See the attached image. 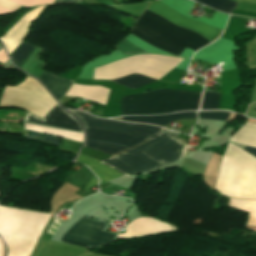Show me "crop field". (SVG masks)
<instances>
[{
    "label": "crop field",
    "mask_w": 256,
    "mask_h": 256,
    "mask_svg": "<svg viewBox=\"0 0 256 256\" xmlns=\"http://www.w3.org/2000/svg\"><path fill=\"white\" fill-rule=\"evenodd\" d=\"M152 81H155V80L144 77V76H141L139 74H133V75H130V76H127L125 78L118 79V80H115V81H112V82L121 84L123 86L129 87V88H132V89H135L137 87H140V86L145 85L147 83H150Z\"/></svg>",
    "instance_id": "4a817a6b"
},
{
    "label": "crop field",
    "mask_w": 256,
    "mask_h": 256,
    "mask_svg": "<svg viewBox=\"0 0 256 256\" xmlns=\"http://www.w3.org/2000/svg\"><path fill=\"white\" fill-rule=\"evenodd\" d=\"M79 0H54L52 4L54 3H78Z\"/></svg>",
    "instance_id": "4177f3b9"
},
{
    "label": "crop field",
    "mask_w": 256,
    "mask_h": 256,
    "mask_svg": "<svg viewBox=\"0 0 256 256\" xmlns=\"http://www.w3.org/2000/svg\"><path fill=\"white\" fill-rule=\"evenodd\" d=\"M185 148L184 140L166 131L130 151L100 162L130 176L181 158Z\"/></svg>",
    "instance_id": "ac0d7876"
},
{
    "label": "crop field",
    "mask_w": 256,
    "mask_h": 256,
    "mask_svg": "<svg viewBox=\"0 0 256 256\" xmlns=\"http://www.w3.org/2000/svg\"><path fill=\"white\" fill-rule=\"evenodd\" d=\"M76 162L85 164L87 167L94 172V174L100 179V184L117 178L123 174L97 162V160L92 159L90 157L79 154Z\"/></svg>",
    "instance_id": "5142ce71"
},
{
    "label": "crop field",
    "mask_w": 256,
    "mask_h": 256,
    "mask_svg": "<svg viewBox=\"0 0 256 256\" xmlns=\"http://www.w3.org/2000/svg\"><path fill=\"white\" fill-rule=\"evenodd\" d=\"M75 116H77L84 127H100L106 129H113L128 132L131 134L152 138L158 135L163 128L145 125V124H129V123H122L113 120H104V119H97L92 117L88 114L79 112V111H70Z\"/></svg>",
    "instance_id": "5a996713"
},
{
    "label": "crop field",
    "mask_w": 256,
    "mask_h": 256,
    "mask_svg": "<svg viewBox=\"0 0 256 256\" xmlns=\"http://www.w3.org/2000/svg\"><path fill=\"white\" fill-rule=\"evenodd\" d=\"M56 104L43 86L28 75L21 84L6 86L0 98V107H19L41 119Z\"/></svg>",
    "instance_id": "f4fd0767"
},
{
    "label": "crop field",
    "mask_w": 256,
    "mask_h": 256,
    "mask_svg": "<svg viewBox=\"0 0 256 256\" xmlns=\"http://www.w3.org/2000/svg\"><path fill=\"white\" fill-rule=\"evenodd\" d=\"M220 95L217 93L204 92L202 110L217 109Z\"/></svg>",
    "instance_id": "214f88e0"
},
{
    "label": "crop field",
    "mask_w": 256,
    "mask_h": 256,
    "mask_svg": "<svg viewBox=\"0 0 256 256\" xmlns=\"http://www.w3.org/2000/svg\"><path fill=\"white\" fill-rule=\"evenodd\" d=\"M198 98L196 92L169 89L121 97V115L196 110Z\"/></svg>",
    "instance_id": "412701ff"
},
{
    "label": "crop field",
    "mask_w": 256,
    "mask_h": 256,
    "mask_svg": "<svg viewBox=\"0 0 256 256\" xmlns=\"http://www.w3.org/2000/svg\"><path fill=\"white\" fill-rule=\"evenodd\" d=\"M243 150L253 154L254 156H256V148H251V147H247V146H244Z\"/></svg>",
    "instance_id": "730fd06b"
},
{
    "label": "crop field",
    "mask_w": 256,
    "mask_h": 256,
    "mask_svg": "<svg viewBox=\"0 0 256 256\" xmlns=\"http://www.w3.org/2000/svg\"><path fill=\"white\" fill-rule=\"evenodd\" d=\"M24 121L83 132L80 124L58 104L42 120L30 113H27Z\"/></svg>",
    "instance_id": "d1516ede"
},
{
    "label": "crop field",
    "mask_w": 256,
    "mask_h": 256,
    "mask_svg": "<svg viewBox=\"0 0 256 256\" xmlns=\"http://www.w3.org/2000/svg\"><path fill=\"white\" fill-rule=\"evenodd\" d=\"M228 112H198V119L228 120Z\"/></svg>",
    "instance_id": "92a150f3"
},
{
    "label": "crop field",
    "mask_w": 256,
    "mask_h": 256,
    "mask_svg": "<svg viewBox=\"0 0 256 256\" xmlns=\"http://www.w3.org/2000/svg\"><path fill=\"white\" fill-rule=\"evenodd\" d=\"M191 118H196V113L186 112V113L170 114V115H162V116H130V117H122V120L129 121V122L152 123V124L165 127L171 121L191 119Z\"/></svg>",
    "instance_id": "cbeb9de0"
},
{
    "label": "crop field",
    "mask_w": 256,
    "mask_h": 256,
    "mask_svg": "<svg viewBox=\"0 0 256 256\" xmlns=\"http://www.w3.org/2000/svg\"><path fill=\"white\" fill-rule=\"evenodd\" d=\"M45 6H38L27 12L0 40L4 43L9 55L22 42L26 35L29 23L40 13Z\"/></svg>",
    "instance_id": "28ad6ade"
},
{
    "label": "crop field",
    "mask_w": 256,
    "mask_h": 256,
    "mask_svg": "<svg viewBox=\"0 0 256 256\" xmlns=\"http://www.w3.org/2000/svg\"><path fill=\"white\" fill-rule=\"evenodd\" d=\"M25 128L40 131V132H45V133H49V134L61 136L64 138L77 140V141H82L83 139L82 133L68 132V131L48 128V127H43V126H38L33 124H27V123H25Z\"/></svg>",
    "instance_id": "733c2abd"
},
{
    "label": "crop field",
    "mask_w": 256,
    "mask_h": 256,
    "mask_svg": "<svg viewBox=\"0 0 256 256\" xmlns=\"http://www.w3.org/2000/svg\"><path fill=\"white\" fill-rule=\"evenodd\" d=\"M35 49V46L23 41L17 49L10 55L13 63L21 69L30 54Z\"/></svg>",
    "instance_id": "d9b57169"
},
{
    "label": "crop field",
    "mask_w": 256,
    "mask_h": 256,
    "mask_svg": "<svg viewBox=\"0 0 256 256\" xmlns=\"http://www.w3.org/2000/svg\"><path fill=\"white\" fill-rule=\"evenodd\" d=\"M104 223L80 218L62 237L61 243L83 248L104 245L113 240V234L101 232Z\"/></svg>",
    "instance_id": "e52e79f7"
},
{
    "label": "crop field",
    "mask_w": 256,
    "mask_h": 256,
    "mask_svg": "<svg viewBox=\"0 0 256 256\" xmlns=\"http://www.w3.org/2000/svg\"><path fill=\"white\" fill-rule=\"evenodd\" d=\"M0 49H1V46H0Z\"/></svg>",
    "instance_id": "d3111659"
},
{
    "label": "crop field",
    "mask_w": 256,
    "mask_h": 256,
    "mask_svg": "<svg viewBox=\"0 0 256 256\" xmlns=\"http://www.w3.org/2000/svg\"><path fill=\"white\" fill-rule=\"evenodd\" d=\"M96 184H97V179L93 175L92 179L90 180V182L88 183L87 187L85 188V191L88 192Z\"/></svg>",
    "instance_id": "a9b5d70f"
},
{
    "label": "crop field",
    "mask_w": 256,
    "mask_h": 256,
    "mask_svg": "<svg viewBox=\"0 0 256 256\" xmlns=\"http://www.w3.org/2000/svg\"><path fill=\"white\" fill-rule=\"evenodd\" d=\"M0 256H2V243H1V240H0Z\"/></svg>",
    "instance_id": "ae1a2a85"
},
{
    "label": "crop field",
    "mask_w": 256,
    "mask_h": 256,
    "mask_svg": "<svg viewBox=\"0 0 256 256\" xmlns=\"http://www.w3.org/2000/svg\"><path fill=\"white\" fill-rule=\"evenodd\" d=\"M0 6L8 8V9L13 10V11L17 10L20 7V5L15 4V3L11 2V1H8V0H0Z\"/></svg>",
    "instance_id": "00972430"
},
{
    "label": "crop field",
    "mask_w": 256,
    "mask_h": 256,
    "mask_svg": "<svg viewBox=\"0 0 256 256\" xmlns=\"http://www.w3.org/2000/svg\"><path fill=\"white\" fill-rule=\"evenodd\" d=\"M115 49L119 50L120 52L124 53V54H132V53H141L144 52L138 48H136L135 46H133L132 44H130L128 41L124 40L120 45H118L117 47H115Z\"/></svg>",
    "instance_id": "dafd665d"
},
{
    "label": "crop field",
    "mask_w": 256,
    "mask_h": 256,
    "mask_svg": "<svg viewBox=\"0 0 256 256\" xmlns=\"http://www.w3.org/2000/svg\"><path fill=\"white\" fill-rule=\"evenodd\" d=\"M172 230H175L171 227ZM169 225H166L153 218L142 219L141 217L134 219L131 223L125 226L126 233L119 234L118 238L149 235L171 230Z\"/></svg>",
    "instance_id": "22f410ed"
},
{
    "label": "crop field",
    "mask_w": 256,
    "mask_h": 256,
    "mask_svg": "<svg viewBox=\"0 0 256 256\" xmlns=\"http://www.w3.org/2000/svg\"><path fill=\"white\" fill-rule=\"evenodd\" d=\"M204 5L220 10L222 12L231 13L237 3L230 0H196Z\"/></svg>",
    "instance_id": "bc2a9ffb"
},
{
    "label": "crop field",
    "mask_w": 256,
    "mask_h": 256,
    "mask_svg": "<svg viewBox=\"0 0 256 256\" xmlns=\"http://www.w3.org/2000/svg\"><path fill=\"white\" fill-rule=\"evenodd\" d=\"M230 140L256 147V125L246 123ZM215 191L233 198L256 199V158L229 144L220 165ZM229 206L250 212L247 225L256 226V201L230 198Z\"/></svg>",
    "instance_id": "8a807250"
},
{
    "label": "crop field",
    "mask_w": 256,
    "mask_h": 256,
    "mask_svg": "<svg viewBox=\"0 0 256 256\" xmlns=\"http://www.w3.org/2000/svg\"><path fill=\"white\" fill-rule=\"evenodd\" d=\"M232 1H235V2H240V0H232ZM243 1H249V2H256V0H243Z\"/></svg>",
    "instance_id": "eef30255"
},
{
    "label": "crop field",
    "mask_w": 256,
    "mask_h": 256,
    "mask_svg": "<svg viewBox=\"0 0 256 256\" xmlns=\"http://www.w3.org/2000/svg\"><path fill=\"white\" fill-rule=\"evenodd\" d=\"M131 33L150 45L177 56L185 46L196 51L210 43L196 32L174 25L147 10L141 15Z\"/></svg>",
    "instance_id": "34b2d1b8"
},
{
    "label": "crop field",
    "mask_w": 256,
    "mask_h": 256,
    "mask_svg": "<svg viewBox=\"0 0 256 256\" xmlns=\"http://www.w3.org/2000/svg\"><path fill=\"white\" fill-rule=\"evenodd\" d=\"M86 130L85 147L111 156L148 140L139 136L106 129L86 128Z\"/></svg>",
    "instance_id": "dd49c442"
},
{
    "label": "crop field",
    "mask_w": 256,
    "mask_h": 256,
    "mask_svg": "<svg viewBox=\"0 0 256 256\" xmlns=\"http://www.w3.org/2000/svg\"><path fill=\"white\" fill-rule=\"evenodd\" d=\"M42 52L43 49L37 47V49L34 51V53L31 55V57L28 59L25 65L22 67V70L27 71L38 78V76L46 66V63L37 60ZM38 79L46 85L48 90L58 101H60L65 92L73 83V81L61 79L45 70H43Z\"/></svg>",
    "instance_id": "d8731c3e"
},
{
    "label": "crop field",
    "mask_w": 256,
    "mask_h": 256,
    "mask_svg": "<svg viewBox=\"0 0 256 256\" xmlns=\"http://www.w3.org/2000/svg\"><path fill=\"white\" fill-rule=\"evenodd\" d=\"M147 9L158 15L163 16L164 18L168 19L174 24H177L198 32L200 35L208 39L210 42H212L215 38H217L221 33V31L209 25H206L204 23L187 18L157 1L151 2V4Z\"/></svg>",
    "instance_id": "3316defc"
}]
</instances>
